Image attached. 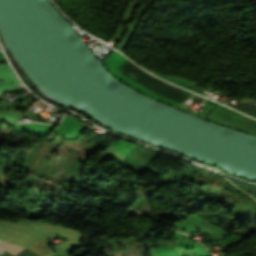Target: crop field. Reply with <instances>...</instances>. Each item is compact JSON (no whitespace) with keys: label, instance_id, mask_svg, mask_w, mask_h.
<instances>
[{"label":"crop field","instance_id":"1","mask_svg":"<svg viewBox=\"0 0 256 256\" xmlns=\"http://www.w3.org/2000/svg\"><path fill=\"white\" fill-rule=\"evenodd\" d=\"M0 247L4 248L5 250H7L15 255L24 249L19 246L13 245L11 243L3 242V241H0Z\"/></svg>","mask_w":256,"mask_h":256},{"label":"crop field","instance_id":"2","mask_svg":"<svg viewBox=\"0 0 256 256\" xmlns=\"http://www.w3.org/2000/svg\"><path fill=\"white\" fill-rule=\"evenodd\" d=\"M2 253V250L0 249V254Z\"/></svg>","mask_w":256,"mask_h":256}]
</instances>
